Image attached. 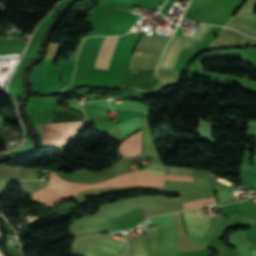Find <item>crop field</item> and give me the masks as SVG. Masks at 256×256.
Listing matches in <instances>:
<instances>
[{
  "mask_svg": "<svg viewBox=\"0 0 256 256\" xmlns=\"http://www.w3.org/2000/svg\"><path fill=\"white\" fill-rule=\"evenodd\" d=\"M164 179L194 182L193 177L173 175L161 176L143 173L136 170L96 184H79L65 181L52 172L50 185L32 193V199L34 203L46 202V205H56L87 188L126 187L138 185L162 186Z\"/></svg>",
  "mask_w": 256,
  "mask_h": 256,
  "instance_id": "8a807250",
  "label": "crop field"
},
{
  "mask_svg": "<svg viewBox=\"0 0 256 256\" xmlns=\"http://www.w3.org/2000/svg\"><path fill=\"white\" fill-rule=\"evenodd\" d=\"M54 100L52 98L33 99L31 110L38 124L49 123L53 112L66 110L55 105ZM84 126L85 121L39 125L45 137V145L62 147H65L77 136Z\"/></svg>",
  "mask_w": 256,
  "mask_h": 256,
  "instance_id": "ac0d7876",
  "label": "crop field"
},
{
  "mask_svg": "<svg viewBox=\"0 0 256 256\" xmlns=\"http://www.w3.org/2000/svg\"><path fill=\"white\" fill-rule=\"evenodd\" d=\"M209 27L201 26L191 38L175 35L159 68L173 69L183 46L192 47L196 39L201 40L209 31Z\"/></svg>",
  "mask_w": 256,
  "mask_h": 256,
  "instance_id": "34b2d1b8",
  "label": "crop field"
},
{
  "mask_svg": "<svg viewBox=\"0 0 256 256\" xmlns=\"http://www.w3.org/2000/svg\"><path fill=\"white\" fill-rule=\"evenodd\" d=\"M255 7L256 0H246L226 26L256 37V15L251 14Z\"/></svg>",
  "mask_w": 256,
  "mask_h": 256,
  "instance_id": "412701ff",
  "label": "crop field"
},
{
  "mask_svg": "<svg viewBox=\"0 0 256 256\" xmlns=\"http://www.w3.org/2000/svg\"><path fill=\"white\" fill-rule=\"evenodd\" d=\"M111 232L129 230L143 221L140 209H134L106 220Z\"/></svg>",
  "mask_w": 256,
  "mask_h": 256,
  "instance_id": "f4fd0767",
  "label": "crop field"
},
{
  "mask_svg": "<svg viewBox=\"0 0 256 256\" xmlns=\"http://www.w3.org/2000/svg\"><path fill=\"white\" fill-rule=\"evenodd\" d=\"M182 213L191 215V216H195V217H199V218H203V219H207V220H211L205 216L204 212L197 211V210L186 211V212H182ZM183 214H182V216H183V220L185 223H189V224L200 226V227L207 228V229H209V227L212 224L211 221H207V220H203V219H199V218H195V217H191V216H187V215H183ZM185 223H184L185 227H189V228L207 232V229H203V228L192 226V225L185 224ZM189 228H185L186 234H188V235L202 238L205 234V232H201V231H197V230H193V229H189Z\"/></svg>",
  "mask_w": 256,
  "mask_h": 256,
  "instance_id": "dd49c442",
  "label": "crop field"
},
{
  "mask_svg": "<svg viewBox=\"0 0 256 256\" xmlns=\"http://www.w3.org/2000/svg\"><path fill=\"white\" fill-rule=\"evenodd\" d=\"M168 41V38L143 34L135 51L161 55Z\"/></svg>",
  "mask_w": 256,
  "mask_h": 256,
  "instance_id": "e52e79f7",
  "label": "crop field"
},
{
  "mask_svg": "<svg viewBox=\"0 0 256 256\" xmlns=\"http://www.w3.org/2000/svg\"><path fill=\"white\" fill-rule=\"evenodd\" d=\"M120 36L105 37L99 49L95 67L108 69Z\"/></svg>",
  "mask_w": 256,
  "mask_h": 256,
  "instance_id": "d8731c3e",
  "label": "crop field"
},
{
  "mask_svg": "<svg viewBox=\"0 0 256 256\" xmlns=\"http://www.w3.org/2000/svg\"><path fill=\"white\" fill-rule=\"evenodd\" d=\"M125 246L126 243L105 235H101L100 238L93 245V247L95 248L101 249L116 256L124 251Z\"/></svg>",
  "mask_w": 256,
  "mask_h": 256,
  "instance_id": "5a996713",
  "label": "crop field"
},
{
  "mask_svg": "<svg viewBox=\"0 0 256 256\" xmlns=\"http://www.w3.org/2000/svg\"><path fill=\"white\" fill-rule=\"evenodd\" d=\"M141 132L142 130L131 136V138L126 139L122 142L119 147V155L129 156V155H139V152H142L141 148Z\"/></svg>",
  "mask_w": 256,
  "mask_h": 256,
  "instance_id": "3316defc",
  "label": "crop field"
},
{
  "mask_svg": "<svg viewBox=\"0 0 256 256\" xmlns=\"http://www.w3.org/2000/svg\"><path fill=\"white\" fill-rule=\"evenodd\" d=\"M75 237L110 232L106 222L72 227Z\"/></svg>",
  "mask_w": 256,
  "mask_h": 256,
  "instance_id": "28ad6ade",
  "label": "crop field"
},
{
  "mask_svg": "<svg viewBox=\"0 0 256 256\" xmlns=\"http://www.w3.org/2000/svg\"><path fill=\"white\" fill-rule=\"evenodd\" d=\"M133 255H148L141 239L126 240Z\"/></svg>",
  "mask_w": 256,
  "mask_h": 256,
  "instance_id": "d1516ede",
  "label": "crop field"
},
{
  "mask_svg": "<svg viewBox=\"0 0 256 256\" xmlns=\"http://www.w3.org/2000/svg\"><path fill=\"white\" fill-rule=\"evenodd\" d=\"M213 199L209 198V199L185 202V203H183V209L186 210V209H191V208H195V207L205 206V205H207V202H214L215 199H214V201H213Z\"/></svg>",
  "mask_w": 256,
  "mask_h": 256,
  "instance_id": "22f410ed",
  "label": "crop field"
},
{
  "mask_svg": "<svg viewBox=\"0 0 256 256\" xmlns=\"http://www.w3.org/2000/svg\"><path fill=\"white\" fill-rule=\"evenodd\" d=\"M194 171L195 170L184 168H169L167 174L193 176Z\"/></svg>",
  "mask_w": 256,
  "mask_h": 256,
  "instance_id": "cbeb9de0",
  "label": "crop field"
},
{
  "mask_svg": "<svg viewBox=\"0 0 256 256\" xmlns=\"http://www.w3.org/2000/svg\"><path fill=\"white\" fill-rule=\"evenodd\" d=\"M166 169L167 168H164V167L150 165L147 168L143 169L142 171L143 172H150V173H156V174H163V175H165Z\"/></svg>",
  "mask_w": 256,
  "mask_h": 256,
  "instance_id": "5142ce71",
  "label": "crop field"
},
{
  "mask_svg": "<svg viewBox=\"0 0 256 256\" xmlns=\"http://www.w3.org/2000/svg\"><path fill=\"white\" fill-rule=\"evenodd\" d=\"M216 193L221 203L231 200L228 189L217 191Z\"/></svg>",
  "mask_w": 256,
  "mask_h": 256,
  "instance_id": "d9b57169",
  "label": "crop field"
},
{
  "mask_svg": "<svg viewBox=\"0 0 256 256\" xmlns=\"http://www.w3.org/2000/svg\"><path fill=\"white\" fill-rule=\"evenodd\" d=\"M247 136H256V121H249Z\"/></svg>",
  "mask_w": 256,
  "mask_h": 256,
  "instance_id": "733c2abd",
  "label": "crop field"
},
{
  "mask_svg": "<svg viewBox=\"0 0 256 256\" xmlns=\"http://www.w3.org/2000/svg\"><path fill=\"white\" fill-rule=\"evenodd\" d=\"M252 253V252H251ZM252 256H256V251H253Z\"/></svg>",
  "mask_w": 256,
  "mask_h": 256,
  "instance_id": "4a817a6b",
  "label": "crop field"
},
{
  "mask_svg": "<svg viewBox=\"0 0 256 256\" xmlns=\"http://www.w3.org/2000/svg\"><path fill=\"white\" fill-rule=\"evenodd\" d=\"M198 210H202L203 211V209L201 208V209H198Z\"/></svg>",
  "mask_w": 256,
  "mask_h": 256,
  "instance_id": "bc2a9ffb",
  "label": "crop field"
},
{
  "mask_svg": "<svg viewBox=\"0 0 256 256\" xmlns=\"http://www.w3.org/2000/svg\"><path fill=\"white\" fill-rule=\"evenodd\" d=\"M0 119H1V117H0Z\"/></svg>",
  "mask_w": 256,
  "mask_h": 256,
  "instance_id": "214f88e0",
  "label": "crop field"
}]
</instances>
